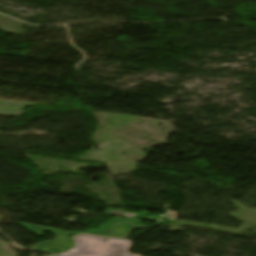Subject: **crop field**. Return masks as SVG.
Masks as SVG:
<instances>
[{
    "label": "crop field",
    "instance_id": "34b2d1b8",
    "mask_svg": "<svg viewBox=\"0 0 256 256\" xmlns=\"http://www.w3.org/2000/svg\"><path fill=\"white\" fill-rule=\"evenodd\" d=\"M143 221L117 218L110 221L107 225L98 231H88L86 233L99 235L104 237L119 238L128 240L131 232L134 228L145 230V226H142Z\"/></svg>",
    "mask_w": 256,
    "mask_h": 256
},
{
    "label": "crop field",
    "instance_id": "dd49c442",
    "mask_svg": "<svg viewBox=\"0 0 256 256\" xmlns=\"http://www.w3.org/2000/svg\"><path fill=\"white\" fill-rule=\"evenodd\" d=\"M127 256H137V255H132V254L128 253V255H127Z\"/></svg>",
    "mask_w": 256,
    "mask_h": 256
},
{
    "label": "crop field",
    "instance_id": "f4fd0767",
    "mask_svg": "<svg viewBox=\"0 0 256 256\" xmlns=\"http://www.w3.org/2000/svg\"><path fill=\"white\" fill-rule=\"evenodd\" d=\"M0 256H9V255L6 254V253L0 248Z\"/></svg>",
    "mask_w": 256,
    "mask_h": 256
},
{
    "label": "crop field",
    "instance_id": "412701ff",
    "mask_svg": "<svg viewBox=\"0 0 256 256\" xmlns=\"http://www.w3.org/2000/svg\"><path fill=\"white\" fill-rule=\"evenodd\" d=\"M148 216H149V213L143 212V213H140L139 215L135 216V218L145 219Z\"/></svg>",
    "mask_w": 256,
    "mask_h": 256
},
{
    "label": "crop field",
    "instance_id": "8a807250",
    "mask_svg": "<svg viewBox=\"0 0 256 256\" xmlns=\"http://www.w3.org/2000/svg\"><path fill=\"white\" fill-rule=\"evenodd\" d=\"M108 239L107 242L103 241ZM74 247L62 256H125L131 241L79 234L73 237Z\"/></svg>",
    "mask_w": 256,
    "mask_h": 256
},
{
    "label": "crop field",
    "instance_id": "ac0d7876",
    "mask_svg": "<svg viewBox=\"0 0 256 256\" xmlns=\"http://www.w3.org/2000/svg\"><path fill=\"white\" fill-rule=\"evenodd\" d=\"M17 224L28 229L29 231H31L36 235H43V231H50L55 235L54 240L42 241L32 246L34 249H39V250L60 252V251L69 249L72 246V243L69 237L72 234H77L75 232H63V230H60V229L37 226L32 224H26V223H20V222H17Z\"/></svg>",
    "mask_w": 256,
    "mask_h": 256
}]
</instances>
